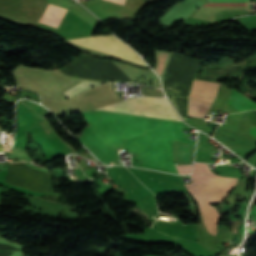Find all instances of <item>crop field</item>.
<instances>
[{"instance_id":"crop-field-16","label":"crop field","mask_w":256,"mask_h":256,"mask_svg":"<svg viewBox=\"0 0 256 256\" xmlns=\"http://www.w3.org/2000/svg\"><path fill=\"white\" fill-rule=\"evenodd\" d=\"M0 140H1V130H0ZM2 148H3V145H2V143L0 141V151H2Z\"/></svg>"},{"instance_id":"crop-field-6","label":"crop field","mask_w":256,"mask_h":256,"mask_svg":"<svg viewBox=\"0 0 256 256\" xmlns=\"http://www.w3.org/2000/svg\"><path fill=\"white\" fill-rule=\"evenodd\" d=\"M207 2L206 0H185L177 3L158 22L167 25L180 22L188 18L197 7Z\"/></svg>"},{"instance_id":"crop-field-14","label":"crop field","mask_w":256,"mask_h":256,"mask_svg":"<svg viewBox=\"0 0 256 256\" xmlns=\"http://www.w3.org/2000/svg\"><path fill=\"white\" fill-rule=\"evenodd\" d=\"M249 133H251V134H253V135L256 136V126L252 125V127H251Z\"/></svg>"},{"instance_id":"crop-field-11","label":"crop field","mask_w":256,"mask_h":256,"mask_svg":"<svg viewBox=\"0 0 256 256\" xmlns=\"http://www.w3.org/2000/svg\"><path fill=\"white\" fill-rule=\"evenodd\" d=\"M8 154L11 156V158L25 159L31 161L23 149L12 147V149L8 151Z\"/></svg>"},{"instance_id":"crop-field-5","label":"crop field","mask_w":256,"mask_h":256,"mask_svg":"<svg viewBox=\"0 0 256 256\" xmlns=\"http://www.w3.org/2000/svg\"><path fill=\"white\" fill-rule=\"evenodd\" d=\"M218 86L217 83L194 80L188 100V115L204 119L215 100Z\"/></svg>"},{"instance_id":"crop-field-7","label":"crop field","mask_w":256,"mask_h":256,"mask_svg":"<svg viewBox=\"0 0 256 256\" xmlns=\"http://www.w3.org/2000/svg\"><path fill=\"white\" fill-rule=\"evenodd\" d=\"M224 4H247V3H209L205 5H224ZM250 3H248L249 9ZM247 9V5H224V6H201L193 15L195 18L207 21H215V15L221 10Z\"/></svg>"},{"instance_id":"crop-field-15","label":"crop field","mask_w":256,"mask_h":256,"mask_svg":"<svg viewBox=\"0 0 256 256\" xmlns=\"http://www.w3.org/2000/svg\"><path fill=\"white\" fill-rule=\"evenodd\" d=\"M106 1H110V2H114V3H118V4H124L125 0H106Z\"/></svg>"},{"instance_id":"crop-field-1","label":"crop field","mask_w":256,"mask_h":256,"mask_svg":"<svg viewBox=\"0 0 256 256\" xmlns=\"http://www.w3.org/2000/svg\"><path fill=\"white\" fill-rule=\"evenodd\" d=\"M237 178H224L214 175L206 164L195 163L192 184L185 185L200 207V213L207 231L216 234V223L220 218L216 209L209 203L221 202L228 190L235 186Z\"/></svg>"},{"instance_id":"crop-field-9","label":"crop field","mask_w":256,"mask_h":256,"mask_svg":"<svg viewBox=\"0 0 256 256\" xmlns=\"http://www.w3.org/2000/svg\"><path fill=\"white\" fill-rule=\"evenodd\" d=\"M68 6L49 4L40 21L59 24Z\"/></svg>"},{"instance_id":"crop-field-12","label":"crop field","mask_w":256,"mask_h":256,"mask_svg":"<svg viewBox=\"0 0 256 256\" xmlns=\"http://www.w3.org/2000/svg\"><path fill=\"white\" fill-rule=\"evenodd\" d=\"M178 173L187 174L190 172L192 165L175 166Z\"/></svg>"},{"instance_id":"crop-field-4","label":"crop field","mask_w":256,"mask_h":256,"mask_svg":"<svg viewBox=\"0 0 256 256\" xmlns=\"http://www.w3.org/2000/svg\"><path fill=\"white\" fill-rule=\"evenodd\" d=\"M68 41L95 51L120 57L134 63L147 66L135 51H133L127 44L123 43L112 35L74 39Z\"/></svg>"},{"instance_id":"crop-field-13","label":"crop field","mask_w":256,"mask_h":256,"mask_svg":"<svg viewBox=\"0 0 256 256\" xmlns=\"http://www.w3.org/2000/svg\"><path fill=\"white\" fill-rule=\"evenodd\" d=\"M211 2H242V1H249V0H210Z\"/></svg>"},{"instance_id":"crop-field-3","label":"crop field","mask_w":256,"mask_h":256,"mask_svg":"<svg viewBox=\"0 0 256 256\" xmlns=\"http://www.w3.org/2000/svg\"><path fill=\"white\" fill-rule=\"evenodd\" d=\"M19 163V162H12ZM28 164V163H26ZM24 163L9 164L6 182L14 185L21 186L25 189L39 192V193H53L52 189V176L49 174V170L37 168L29 165L33 168L49 172L45 173L36 169H33Z\"/></svg>"},{"instance_id":"crop-field-2","label":"crop field","mask_w":256,"mask_h":256,"mask_svg":"<svg viewBox=\"0 0 256 256\" xmlns=\"http://www.w3.org/2000/svg\"><path fill=\"white\" fill-rule=\"evenodd\" d=\"M98 109L181 121L166 98H132Z\"/></svg>"},{"instance_id":"crop-field-8","label":"crop field","mask_w":256,"mask_h":256,"mask_svg":"<svg viewBox=\"0 0 256 256\" xmlns=\"http://www.w3.org/2000/svg\"><path fill=\"white\" fill-rule=\"evenodd\" d=\"M235 111L240 112L249 109H256V103L235 90L231 91L228 104Z\"/></svg>"},{"instance_id":"crop-field-10","label":"crop field","mask_w":256,"mask_h":256,"mask_svg":"<svg viewBox=\"0 0 256 256\" xmlns=\"http://www.w3.org/2000/svg\"><path fill=\"white\" fill-rule=\"evenodd\" d=\"M101 82H91V81H83L75 86H73L72 88H70L69 90H67L65 93L67 99L81 93L82 91L89 89L90 87L99 84Z\"/></svg>"}]
</instances>
